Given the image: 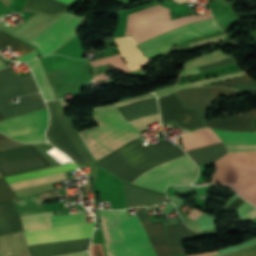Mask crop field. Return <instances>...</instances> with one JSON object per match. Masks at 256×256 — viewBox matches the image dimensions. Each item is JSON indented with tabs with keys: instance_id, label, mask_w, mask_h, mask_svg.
Segmentation results:
<instances>
[{
	"instance_id": "1",
	"label": "crop field",
	"mask_w": 256,
	"mask_h": 256,
	"mask_svg": "<svg viewBox=\"0 0 256 256\" xmlns=\"http://www.w3.org/2000/svg\"><path fill=\"white\" fill-rule=\"evenodd\" d=\"M213 131L229 152L256 151V132ZM215 165L211 183H226L256 205V152L229 153L215 161Z\"/></svg>"
},
{
	"instance_id": "2",
	"label": "crop field",
	"mask_w": 256,
	"mask_h": 256,
	"mask_svg": "<svg viewBox=\"0 0 256 256\" xmlns=\"http://www.w3.org/2000/svg\"><path fill=\"white\" fill-rule=\"evenodd\" d=\"M142 143L137 138L97 163L117 177L132 183L145 171L185 154L177 144L171 146L163 140L149 146Z\"/></svg>"
},
{
	"instance_id": "3",
	"label": "crop field",
	"mask_w": 256,
	"mask_h": 256,
	"mask_svg": "<svg viewBox=\"0 0 256 256\" xmlns=\"http://www.w3.org/2000/svg\"><path fill=\"white\" fill-rule=\"evenodd\" d=\"M99 126L79 132L88 149L99 160L159 121L158 114L127 122L117 109L92 115Z\"/></svg>"
},
{
	"instance_id": "4",
	"label": "crop field",
	"mask_w": 256,
	"mask_h": 256,
	"mask_svg": "<svg viewBox=\"0 0 256 256\" xmlns=\"http://www.w3.org/2000/svg\"><path fill=\"white\" fill-rule=\"evenodd\" d=\"M94 223L27 231L28 246L91 236ZM90 238L29 247L31 256H57L87 250Z\"/></svg>"
},
{
	"instance_id": "5",
	"label": "crop field",
	"mask_w": 256,
	"mask_h": 256,
	"mask_svg": "<svg viewBox=\"0 0 256 256\" xmlns=\"http://www.w3.org/2000/svg\"><path fill=\"white\" fill-rule=\"evenodd\" d=\"M39 91L32 74L20 77L10 68L0 71V113L6 118L45 109L40 93L20 97L22 104L11 107L8 100L16 96ZM0 114V120H4Z\"/></svg>"
},
{
	"instance_id": "6",
	"label": "crop field",
	"mask_w": 256,
	"mask_h": 256,
	"mask_svg": "<svg viewBox=\"0 0 256 256\" xmlns=\"http://www.w3.org/2000/svg\"><path fill=\"white\" fill-rule=\"evenodd\" d=\"M212 14L191 15L171 20L170 11L164 6L136 12L129 15L127 28L124 35L132 34L139 43L153 38L165 31L187 23L211 18Z\"/></svg>"
},
{
	"instance_id": "7",
	"label": "crop field",
	"mask_w": 256,
	"mask_h": 256,
	"mask_svg": "<svg viewBox=\"0 0 256 256\" xmlns=\"http://www.w3.org/2000/svg\"><path fill=\"white\" fill-rule=\"evenodd\" d=\"M47 104L50 110V125L46 137L50 143L69 155L78 167L90 164L92 159L64 117L57 101H47Z\"/></svg>"
},
{
	"instance_id": "8",
	"label": "crop field",
	"mask_w": 256,
	"mask_h": 256,
	"mask_svg": "<svg viewBox=\"0 0 256 256\" xmlns=\"http://www.w3.org/2000/svg\"><path fill=\"white\" fill-rule=\"evenodd\" d=\"M197 170V166L185 154L144 173L133 184L164 192L167 185L193 182Z\"/></svg>"
},
{
	"instance_id": "9",
	"label": "crop field",
	"mask_w": 256,
	"mask_h": 256,
	"mask_svg": "<svg viewBox=\"0 0 256 256\" xmlns=\"http://www.w3.org/2000/svg\"><path fill=\"white\" fill-rule=\"evenodd\" d=\"M123 243L129 256H156L137 216L126 210L117 211ZM122 242L106 243L109 256H128Z\"/></svg>"
},
{
	"instance_id": "10",
	"label": "crop field",
	"mask_w": 256,
	"mask_h": 256,
	"mask_svg": "<svg viewBox=\"0 0 256 256\" xmlns=\"http://www.w3.org/2000/svg\"><path fill=\"white\" fill-rule=\"evenodd\" d=\"M210 24H213L212 26ZM221 31L214 19L191 23L176 28L162 36L146 41L137 47L150 59L169 50V46L201 34Z\"/></svg>"
},
{
	"instance_id": "11",
	"label": "crop field",
	"mask_w": 256,
	"mask_h": 256,
	"mask_svg": "<svg viewBox=\"0 0 256 256\" xmlns=\"http://www.w3.org/2000/svg\"><path fill=\"white\" fill-rule=\"evenodd\" d=\"M48 124L47 110H41L0 122V131L26 143L45 141Z\"/></svg>"
},
{
	"instance_id": "12",
	"label": "crop field",
	"mask_w": 256,
	"mask_h": 256,
	"mask_svg": "<svg viewBox=\"0 0 256 256\" xmlns=\"http://www.w3.org/2000/svg\"><path fill=\"white\" fill-rule=\"evenodd\" d=\"M50 166L33 145L0 151V173L3 177Z\"/></svg>"
},
{
	"instance_id": "13",
	"label": "crop field",
	"mask_w": 256,
	"mask_h": 256,
	"mask_svg": "<svg viewBox=\"0 0 256 256\" xmlns=\"http://www.w3.org/2000/svg\"><path fill=\"white\" fill-rule=\"evenodd\" d=\"M84 19V17L64 13L30 42L37 45L42 56L51 54L76 34L74 29Z\"/></svg>"
},
{
	"instance_id": "14",
	"label": "crop field",
	"mask_w": 256,
	"mask_h": 256,
	"mask_svg": "<svg viewBox=\"0 0 256 256\" xmlns=\"http://www.w3.org/2000/svg\"><path fill=\"white\" fill-rule=\"evenodd\" d=\"M163 123L175 122L183 130L193 131L206 123L197 109L184 108L175 93L158 98Z\"/></svg>"
},
{
	"instance_id": "15",
	"label": "crop field",
	"mask_w": 256,
	"mask_h": 256,
	"mask_svg": "<svg viewBox=\"0 0 256 256\" xmlns=\"http://www.w3.org/2000/svg\"><path fill=\"white\" fill-rule=\"evenodd\" d=\"M177 96L185 107L194 106L204 119H208L207 110L214 99L224 95H236L233 89L193 87L176 92Z\"/></svg>"
},
{
	"instance_id": "16",
	"label": "crop field",
	"mask_w": 256,
	"mask_h": 256,
	"mask_svg": "<svg viewBox=\"0 0 256 256\" xmlns=\"http://www.w3.org/2000/svg\"><path fill=\"white\" fill-rule=\"evenodd\" d=\"M138 217L150 239L157 256L184 253L182 243L168 245L163 222L151 223L144 208H136Z\"/></svg>"
},
{
	"instance_id": "17",
	"label": "crop field",
	"mask_w": 256,
	"mask_h": 256,
	"mask_svg": "<svg viewBox=\"0 0 256 256\" xmlns=\"http://www.w3.org/2000/svg\"><path fill=\"white\" fill-rule=\"evenodd\" d=\"M255 115L256 110L253 109L234 115L205 121L207 125L212 128L230 131H255L254 127L252 126Z\"/></svg>"
},
{
	"instance_id": "18",
	"label": "crop field",
	"mask_w": 256,
	"mask_h": 256,
	"mask_svg": "<svg viewBox=\"0 0 256 256\" xmlns=\"http://www.w3.org/2000/svg\"><path fill=\"white\" fill-rule=\"evenodd\" d=\"M123 185L128 208L161 204L166 200L164 195L125 183Z\"/></svg>"
},
{
	"instance_id": "19",
	"label": "crop field",
	"mask_w": 256,
	"mask_h": 256,
	"mask_svg": "<svg viewBox=\"0 0 256 256\" xmlns=\"http://www.w3.org/2000/svg\"><path fill=\"white\" fill-rule=\"evenodd\" d=\"M128 62L130 70L142 68L149 60L134 46L138 44L131 36L113 39Z\"/></svg>"
},
{
	"instance_id": "20",
	"label": "crop field",
	"mask_w": 256,
	"mask_h": 256,
	"mask_svg": "<svg viewBox=\"0 0 256 256\" xmlns=\"http://www.w3.org/2000/svg\"><path fill=\"white\" fill-rule=\"evenodd\" d=\"M21 230L22 226L14 201L0 202V236Z\"/></svg>"
},
{
	"instance_id": "21",
	"label": "crop field",
	"mask_w": 256,
	"mask_h": 256,
	"mask_svg": "<svg viewBox=\"0 0 256 256\" xmlns=\"http://www.w3.org/2000/svg\"><path fill=\"white\" fill-rule=\"evenodd\" d=\"M1 256H30L23 231L0 237Z\"/></svg>"
},
{
	"instance_id": "22",
	"label": "crop field",
	"mask_w": 256,
	"mask_h": 256,
	"mask_svg": "<svg viewBox=\"0 0 256 256\" xmlns=\"http://www.w3.org/2000/svg\"><path fill=\"white\" fill-rule=\"evenodd\" d=\"M181 138L185 151L221 142L209 128L195 130Z\"/></svg>"
},
{
	"instance_id": "23",
	"label": "crop field",
	"mask_w": 256,
	"mask_h": 256,
	"mask_svg": "<svg viewBox=\"0 0 256 256\" xmlns=\"http://www.w3.org/2000/svg\"><path fill=\"white\" fill-rule=\"evenodd\" d=\"M192 160L198 165L207 164L217 160L218 158L225 155L227 152L223 143L199 148L186 152Z\"/></svg>"
},
{
	"instance_id": "24",
	"label": "crop field",
	"mask_w": 256,
	"mask_h": 256,
	"mask_svg": "<svg viewBox=\"0 0 256 256\" xmlns=\"http://www.w3.org/2000/svg\"><path fill=\"white\" fill-rule=\"evenodd\" d=\"M118 110L127 121L149 114L158 113L156 98L140 101L132 105L118 108Z\"/></svg>"
},
{
	"instance_id": "25",
	"label": "crop field",
	"mask_w": 256,
	"mask_h": 256,
	"mask_svg": "<svg viewBox=\"0 0 256 256\" xmlns=\"http://www.w3.org/2000/svg\"><path fill=\"white\" fill-rule=\"evenodd\" d=\"M106 242L122 241L116 211L100 210Z\"/></svg>"
},
{
	"instance_id": "26",
	"label": "crop field",
	"mask_w": 256,
	"mask_h": 256,
	"mask_svg": "<svg viewBox=\"0 0 256 256\" xmlns=\"http://www.w3.org/2000/svg\"><path fill=\"white\" fill-rule=\"evenodd\" d=\"M229 57H231V56L223 53L220 50V51L205 55L203 57L193 59L186 64L181 75H187V74H193V73L200 72V70L197 67L207 65L210 63H214V62H218V61H221V60L229 58Z\"/></svg>"
},
{
	"instance_id": "27",
	"label": "crop field",
	"mask_w": 256,
	"mask_h": 256,
	"mask_svg": "<svg viewBox=\"0 0 256 256\" xmlns=\"http://www.w3.org/2000/svg\"><path fill=\"white\" fill-rule=\"evenodd\" d=\"M52 215L49 211L20 216L24 231L51 227L48 216Z\"/></svg>"
},
{
	"instance_id": "28",
	"label": "crop field",
	"mask_w": 256,
	"mask_h": 256,
	"mask_svg": "<svg viewBox=\"0 0 256 256\" xmlns=\"http://www.w3.org/2000/svg\"><path fill=\"white\" fill-rule=\"evenodd\" d=\"M76 168H77V166L74 163H71V164L52 167V168H48V169L38 170V171H34V172L24 173V174H20V175L10 176V177H6L5 179L8 183H11V182H15V181H20V180L39 177V176H43V175L53 174V173H57V172L72 170V169H76Z\"/></svg>"
},
{
	"instance_id": "29",
	"label": "crop field",
	"mask_w": 256,
	"mask_h": 256,
	"mask_svg": "<svg viewBox=\"0 0 256 256\" xmlns=\"http://www.w3.org/2000/svg\"><path fill=\"white\" fill-rule=\"evenodd\" d=\"M27 64L32 68L45 100L54 99L55 97L52 93V90L43 72V69L41 67L39 60L38 59L32 60L27 62Z\"/></svg>"
},
{
	"instance_id": "30",
	"label": "crop field",
	"mask_w": 256,
	"mask_h": 256,
	"mask_svg": "<svg viewBox=\"0 0 256 256\" xmlns=\"http://www.w3.org/2000/svg\"><path fill=\"white\" fill-rule=\"evenodd\" d=\"M170 243L200 237L197 233L185 226V224L166 226Z\"/></svg>"
},
{
	"instance_id": "31",
	"label": "crop field",
	"mask_w": 256,
	"mask_h": 256,
	"mask_svg": "<svg viewBox=\"0 0 256 256\" xmlns=\"http://www.w3.org/2000/svg\"><path fill=\"white\" fill-rule=\"evenodd\" d=\"M64 179H67V178H66L65 173L62 172V173H58V174L48 175V176L34 178V179H30V180H25V181H20V182H16V183H11L10 186L13 188V190H16V189L26 188V187H30V186L45 184V183L58 181V180H64Z\"/></svg>"
},
{
	"instance_id": "32",
	"label": "crop field",
	"mask_w": 256,
	"mask_h": 256,
	"mask_svg": "<svg viewBox=\"0 0 256 256\" xmlns=\"http://www.w3.org/2000/svg\"><path fill=\"white\" fill-rule=\"evenodd\" d=\"M244 75L245 74L243 72H240V73L226 75V76H222V77H218V78H212V79H206V80H201V81L192 82V83L180 84V85H176V86H174L172 88H169V89L158 91V92H156V94H157L158 97H160L162 95H166V94H168L170 92H173V91H176V90H180V89H183V88L193 87V86H200L202 84L214 83V82L222 81V80H225V79H229V78H233V77H239V76H244Z\"/></svg>"
},
{
	"instance_id": "33",
	"label": "crop field",
	"mask_w": 256,
	"mask_h": 256,
	"mask_svg": "<svg viewBox=\"0 0 256 256\" xmlns=\"http://www.w3.org/2000/svg\"><path fill=\"white\" fill-rule=\"evenodd\" d=\"M49 218L52 227L87 223L83 212Z\"/></svg>"
},
{
	"instance_id": "34",
	"label": "crop field",
	"mask_w": 256,
	"mask_h": 256,
	"mask_svg": "<svg viewBox=\"0 0 256 256\" xmlns=\"http://www.w3.org/2000/svg\"><path fill=\"white\" fill-rule=\"evenodd\" d=\"M7 45H9L14 50L18 48L23 54L35 50L32 46L0 31V48Z\"/></svg>"
},
{
	"instance_id": "35",
	"label": "crop field",
	"mask_w": 256,
	"mask_h": 256,
	"mask_svg": "<svg viewBox=\"0 0 256 256\" xmlns=\"http://www.w3.org/2000/svg\"><path fill=\"white\" fill-rule=\"evenodd\" d=\"M192 219H194L196 222H198L203 230L215 228L214 220L215 218L213 216H208L196 209L192 211V213L188 216Z\"/></svg>"
},
{
	"instance_id": "36",
	"label": "crop field",
	"mask_w": 256,
	"mask_h": 256,
	"mask_svg": "<svg viewBox=\"0 0 256 256\" xmlns=\"http://www.w3.org/2000/svg\"><path fill=\"white\" fill-rule=\"evenodd\" d=\"M154 97H155L154 94H148V95H143V96H139V97H136V98H132V99H129V100H126V101H122V102H119L117 104H113V105H109V106H103V107H96V108H93V109H94L95 113H97V112H101V111L121 107V106H124V105L135 103V102L140 101V100L150 99V98H154Z\"/></svg>"
},
{
	"instance_id": "37",
	"label": "crop field",
	"mask_w": 256,
	"mask_h": 256,
	"mask_svg": "<svg viewBox=\"0 0 256 256\" xmlns=\"http://www.w3.org/2000/svg\"><path fill=\"white\" fill-rule=\"evenodd\" d=\"M17 195L8 185L4 178L0 179V200L16 198Z\"/></svg>"
},
{
	"instance_id": "38",
	"label": "crop field",
	"mask_w": 256,
	"mask_h": 256,
	"mask_svg": "<svg viewBox=\"0 0 256 256\" xmlns=\"http://www.w3.org/2000/svg\"><path fill=\"white\" fill-rule=\"evenodd\" d=\"M229 86L236 87L244 92H256V81L254 80L242 82V83H236Z\"/></svg>"
},
{
	"instance_id": "39",
	"label": "crop field",
	"mask_w": 256,
	"mask_h": 256,
	"mask_svg": "<svg viewBox=\"0 0 256 256\" xmlns=\"http://www.w3.org/2000/svg\"><path fill=\"white\" fill-rule=\"evenodd\" d=\"M223 36H219V37H216V38H212V39H208V40H204V41H200V42H196V43H191L190 45L192 46V48L194 50H196V49L203 48V47H206V46H209L211 44H214V43H217V42L221 41Z\"/></svg>"
},
{
	"instance_id": "40",
	"label": "crop field",
	"mask_w": 256,
	"mask_h": 256,
	"mask_svg": "<svg viewBox=\"0 0 256 256\" xmlns=\"http://www.w3.org/2000/svg\"><path fill=\"white\" fill-rule=\"evenodd\" d=\"M232 63H236V61L233 57H231L229 59H226L224 61L218 62V63H214V64H210V65H207V66L199 67V69L201 71L216 69V68H220L222 66L229 65V64H232Z\"/></svg>"
},
{
	"instance_id": "41",
	"label": "crop field",
	"mask_w": 256,
	"mask_h": 256,
	"mask_svg": "<svg viewBox=\"0 0 256 256\" xmlns=\"http://www.w3.org/2000/svg\"><path fill=\"white\" fill-rule=\"evenodd\" d=\"M255 243H256V238L249 241V242L241 243V244L234 245V246H231V247H228V248H225V249H222V250H217V251H219L221 254H223V253H227V252H231V251H234V250L245 248V247L253 245Z\"/></svg>"
},
{
	"instance_id": "42",
	"label": "crop field",
	"mask_w": 256,
	"mask_h": 256,
	"mask_svg": "<svg viewBox=\"0 0 256 256\" xmlns=\"http://www.w3.org/2000/svg\"><path fill=\"white\" fill-rule=\"evenodd\" d=\"M22 145H27V144H22V143L14 141V140H11L9 138L0 140V150L17 147V146H22Z\"/></svg>"
},
{
	"instance_id": "43",
	"label": "crop field",
	"mask_w": 256,
	"mask_h": 256,
	"mask_svg": "<svg viewBox=\"0 0 256 256\" xmlns=\"http://www.w3.org/2000/svg\"><path fill=\"white\" fill-rule=\"evenodd\" d=\"M90 252L92 256H105L103 247L101 244H92L90 248Z\"/></svg>"
},
{
	"instance_id": "44",
	"label": "crop field",
	"mask_w": 256,
	"mask_h": 256,
	"mask_svg": "<svg viewBox=\"0 0 256 256\" xmlns=\"http://www.w3.org/2000/svg\"><path fill=\"white\" fill-rule=\"evenodd\" d=\"M247 80H251V79L249 77L245 76V77H241V78H237V79H233V80H229V81H225V82H220V83H214V84L224 86L227 84H232V83L247 81Z\"/></svg>"
},
{
	"instance_id": "45",
	"label": "crop field",
	"mask_w": 256,
	"mask_h": 256,
	"mask_svg": "<svg viewBox=\"0 0 256 256\" xmlns=\"http://www.w3.org/2000/svg\"><path fill=\"white\" fill-rule=\"evenodd\" d=\"M37 56L38 55H37L36 51H34V52L28 53L26 55L20 56L16 60L27 62V61H29V60L37 57Z\"/></svg>"
},
{
	"instance_id": "46",
	"label": "crop field",
	"mask_w": 256,
	"mask_h": 256,
	"mask_svg": "<svg viewBox=\"0 0 256 256\" xmlns=\"http://www.w3.org/2000/svg\"><path fill=\"white\" fill-rule=\"evenodd\" d=\"M245 200L239 197L234 203H232L228 209L234 211L238 206H240Z\"/></svg>"
},
{
	"instance_id": "47",
	"label": "crop field",
	"mask_w": 256,
	"mask_h": 256,
	"mask_svg": "<svg viewBox=\"0 0 256 256\" xmlns=\"http://www.w3.org/2000/svg\"><path fill=\"white\" fill-rule=\"evenodd\" d=\"M256 216V209H254L253 211H251L250 213H248L247 215H245L244 217H242L241 219L244 220H251Z\"/></svg>"
},
{
	"instance_id": "48",
	"label": "crop field",
	"mask_w": 256,
	"mask_h": 256,
	"mask_svg": "<svg viewBox=\"0 0 256 256\" xmlns=\"http://www.w3.org/2000/svg\"><path fill=\"white\" fill-rule=\"evenodd\" d=\"M211 254H217L216 251L214 252H204V253H198V254H193V255H188V256H206V255H211Z\"/></svg>"
},
{
	"instance_id": "49",
	"label": "crop field",
	"mask_w": 256,
	"mask_h": 256,
	"mask_svg": "<svg viewBox=\"0 0 256 256\" xmlns=\"http://www.w3.org/2000/svg\"><path fill=\"white\" fill-rule=\"evenodd\" d=\"M68 256H89L88 252L84 253H78V254H73V255H68Z\"/></svg>"
},
{
	"instance_id": "50",
	"label": "crop field",
	"mask_w": 256,
	"mask_h": 256,
	"mask_svg": "<svg viewBox=\"0 0 256 256\" xmlns=\"http://www.w3.org/2000/svg\"><path fill=\"white\" fill-rule=\"evenodd\" d=\"M62 106V109L69 107L64 100H59Z\"/></svg>"
},
{
	"instance_id": "51",
	"label": "crop field",
	"mask_w": 256,
	"mask_h": 256,
	"mask_svg": "<svg viewBox=\"0 0 256 256\" xmlns=\"http://www.w3.org/2000/svg\"><path fill=\"white\" fill-rule=\"evenodd\" d=\"M60 1H63L69 5H71L75 0H60Z\"/></svg>"
},
{
	"instance_id": "52",
	"label": "crop field",
	"mask_w": 256,
	"mask_h": 256,
	"mask_svg": "<svg viewBox=\"0 0 256 256\" xmlns=\"http://www.w3.org/2000/svg\"><path fill=\"white\" fill-rule=\"evenodd\" d=\"M6 66H4L1 62H0V69L5 68Z\"/></svg>"
},
{
	"instance_id": "53",
	"label": "crop field",
	"mask_w": 256,
	"mask_h": 256,
	"mask_svg": "<svg viewBox=\"0 0 256 256\" xmlns=\"http://www.w3.org/2000/svg\"><path fill=\"white\" fill-rule=\"evenodd\" d=\"M1 138H6V136H4L3 134L0 133V139Z\"/></svg>"
},
{
	"instance_id": "54",
	"label": "crop field",
	"mask_w": 256,
	"mask_h": 256,
	"mask_svg": "<svg viewBox=\"0 0 256 256\" xmlns=\"http://www.w3.org/2000/svg\"><path fill=\"white\" fill-rule=\"evenodd\" d=\"M177 1L180 2V3H182V2L187 1V0H177ZM177 1H176V2H177Z\"/></svg>"
},
{
	"instance_id": "55",
	"label": "crop field",
	"mask_w": 256,
	"mask_h": 256,
	"mask_svg": "<svg viewBox=\"0 0 256 256\" xmlns=\"http://www.w3.org/2000/svg\"><path fill=\"white\" fill-rule=\"evenodd\" d=\"M254 127L256 128V118L254 120V123H253Z\"/></svg>"
},
{
	"instance_id": "56",
	"label": "crop field",
	"mask_w": 256,
	"mask_h": 256,
	"mask_svg": "<svg viewBox=\"0 0 256 256\" xmlns=\"http://www.w3.org/2000/svg\"><path fill=\"white\" fill-rule=\"evenodd\" d=\"M211 256H221L220 254H217V255H211Z\"/></svg>"
}]
</instances>
